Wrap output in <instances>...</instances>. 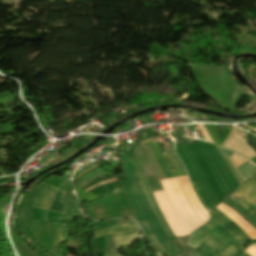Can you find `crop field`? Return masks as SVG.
<instances>
[{
    "label": "crop field",
    "instance_id": "crop-field-16",
    "mask_svg": "<svg viewBox=\"0 0 256 256\" xmlns=\"http://www.w3.org/2000/svg\"><path fill=\"white\" fill-rule=\"evenodd\" d=\"M98 166L96 165V163L90 165L89 167H87L86 169L82 170L81 172H79L76 177L74 178V181L78 180L82 175H84L85 172L90 171L92 169L97 168Z\"/></svg>",
    "mask_w": 256,
    "mask_h": 256
},
{
    "label": "crop field",
    "instance_id": "crop-field-11",
    "mask_svg": "<svg viewBox=\"0 0 256 256\" xmlns=\"http://www.w3.org/2000/svg\"><path fill=\"white\" fill-rule=\"evenodd\" d=\"M106 176H110V175L103 173L100 171V169H98V170L92 172L91 174L80 179L78 182V185L83 188V187L89 185L90 183L98 180L99 178L106 177ZM91 178H93V179H91Z\"/></svg>",
    "mask_w": 256,
    "mask_h": 256
},
{
    "label": "crop field",
    "instance_id": "crop-field-5",
    "mask_svg": "<svg viewBox=\"0 0 256 256\" xmlns=\"http://www.w3.org/2000/svg\"><path fill=\"white\" fill-rule=\"evenodd\" d=\"M159 207L160 210L165 218V220L167 221L168 225L170 226V228L172 229L173 233L175 234V236H182V235H187L185 230L179 225L165 195L164 192L161 193H156L153 194Z\"/></svg>",
    "mask_w": 256,
    "mask_h": 256
},
{
    "label": "crop field",
    "instance_id": "crop-field-10",
    "mask_svg": "<svg viewBox=\"0 0 256 256\" xmlns=\"http://www.w3.org/2000/svg\"><path fill=\"white\" fill-rule=\"evenodd\" d=\"M64 194H65L64 192L57 191V193L52 199L51 205L48 210L59 212V213H65V203L60 202Z\"/></svg>",
    "mask_w": 256,
    "mask_h": 256
},
{
    "label": "crop field",
    "instance_id": "crop-field-22",
    "mask_svg": "<svg viewBox=\"0 0 256 256\" xmlns=\"http://www.w3.org/2000/svg\"><path fill=\"white\" fill-rule=\"evenodd\" d=\"M256 124V123H255ZM256 127V126H255Z\"/></svg>",
    "mask_w": 256,
    "mask_h": 256
},
{
    "label": "crop field",
    "instance_id": "crop-field-7",
    "mask_svg": "<svg viewBox=\"0 0 256 256\" xmlns=\"http://www.w3.org/2000/svg\"><path fill=\"white\" fill-rule=\"evenodd\" d=\"M55 191L56 189L42 183L34 195L31 206L46 210L49 200Z\"/></svg>",
    "mask_w": 256,
    "mask_h": 256
},
{
    "label": "crop field",
    "instance_id": "crop-field-18",
    "mask_svg": "<svg viewBox=\"0 0 256 256\" xmlns=\"http://www.w3.org/2000/svg\"><path fill=\"white\" fill-rule=\"evenodd\" d=\"M239 204H241L242 206H244L248 211H250L255 217H256V210L254 208H252L251 206H249L246 202L242 201Z\"/></svg>",
    "mask_w": 256,
    "mask_h": 256
},
{
    "label": "crop field",
    "instance_id": "crop-field-8",
    "mask_svg": "<svg viewBox=\"0 0 256 256\" xmlns=\"http://www.w3.org/2000/svg\"><path fill=\"white\" fill-rule=\"evenodd\" d=\"M121 191H124L123 188L118 184L117 181H115V182L97 187L95 189H92L88 192H91L96 195L104 196V195H109V194H113Z\"/></svg>",
    "mask_w": 256,
    "mask_h": 256
},
{
    "label": "crop field",
    "instance_id": "crop-field-6",
    "mask_svg": "<svg viewBox=\"0 0 256 256\" xmlns=\"http://www.w3.org/2000/svg\"><path fill=\"white\" fill-rule=\"evenodd\" d=\"M236 131L237 128L232 126L228 138L222 144L223 147L239 153L249 159L256 156L253 150L246 145V140L236 135Z\"/></svg>",
    "mask_w": 256,
    "mask_h": 256
},
{
    "label": "crop field",
    "instance_id": "crop-field-9",
    "mask_svg": "<svg viewBox=\"0 0 256 256\" xmlns=\"http://www.w3.org/2000/svg\"><path fill=\"white\" fill-rule=\"evenodd\" d=\"M255 182L256 177L242 183V185L232 194H234L237 197H241L242 195H244L245 198L249 197L251 194L256 192V184L253 186ZM252 186L253 188L250 189Z\"/></svg>",
    "mask_w": 256,
    "mask_h": 256
},
{
    "label": "crop field",
    "instance_id": "crop-field-21",
    "mask_svg": "<svg viewBox=\"0 0 256 256\" xmlns=\"http://www.w3.org/2000/svg\"><path fill=\"white\" fill-rule=\"evenodd\" d=\"M252 203H254L255 205H256V198L253 200V201H251Z\"/></svg>",
    "mask_w": 256,
    "mask_h": 256
},
{
    "label": "crop field",
    "instance_id": "crop-field-17",
    "mask_svg": "<svg viewBox=\"0 0 256 256\" xmlns=\"http://www.w3.org/2000/svg\"><path fill=\"white\" fill-rule=\"evenodd\" d=\"M198 127H199L200 131L202 132L203 136L205 137L206 141L213 142L211 140V138L208 136L203 124H199Z\"/></svg>",
    "mask_w": 256,
    "mask_h": 256
},
{
    "label": "crop field",
    "instance_id": "crop-field-20",
    "mask_svg": "<svg viewBox=\"0 0 256 256\" xmlns=\"http://www.w3.org/2000/svg\"><path fill=\"white\" fill-rule=\"evenodd\" d=\"M243 126H246V127H248V128H250V129H253V128H251V127H249V126H247V125H245V124H242ZM254 130V129H253ZM256 131V130H255Z\"/></svg>",
    "mask_w": 256,
    "mask_h": 256
},
{
    "label": "crop field",
    "instance_id": "crop-field-4",
    "mask_svg": "<svg viewBox=\"0 0 256 256\" xmlns=\"http://www.w3.org/2000/svg\"><path fill=\"white\" fill-rule=\"evenodd\" d=\"M114 233H118L116 235L111 236L116 247L117 248L126 247V246H129L130 243L133 241V239L136 237L137 228L134 225V223H131V224L109 227L104 230L95 232L94 234H95V237L97 238L103 235L114 234Z\"/></svg>",
    "mask_w": 256,
    "mask_h": 256
},
{
    "label": "crop field",
    "instance_id": "crop-field-13",
    "mask_svg": "<svg viewBox=\"0 0 256 256\" xmlns=\"http://www.w3.org/2000/svg\"><path fill=\"white\" fill-rule=\"evenodd\" d=\"M192 239L187 244L192 247H197L198 244L207 237V232L201 227L189 235Z\"/></svg>",
    "mask_w": 256,
    "mask_h": 256
},
{
    "label": "crop field",
    "instance_id": "crop-field-12",
    "mask_svg": "<svg viewBox=\"0 0 256 256\" xmlns=\"http://www.w3.org/2000/svg\"><path fill=\"white\" fill-rule=\"evenodd\" d=\"M220 151V153L222 154V156L224 157L227 165L229 166L230 170L232 171V173L234 174L235 178L237 179V181L241 184L243 181H245L236 171V169L234 168V166L232 165L231 161H230V157L233 154V152H230L228 150L222 149L220 147H217ZM222 157V158H223Z\"/></svg>",
    "mask_w": 256,
    "mask_h": 256
},
{
    "label": "crop field",
    "instance_id": "crop-field-15",
    "mask_svg": "<svg viewBox=\"0 0 256 256\" xmlns=\"http://www.w3.org/2000/svg\"><path fill=\"white\" fill-rule=\"evenodd\" d=\"M231 160L235 164L236 168L245 163L246 161H248L235 153L231 157Z\"/></svg>",
    "mask_w": 256,
    "mask_h": 256
},
{
    "label": "crop field",
    "instance_id": "crop-field-1",
    "mask_svg": "<svg viewBox=\"0 0 256 256\" xmlns=\"http://www.w3.org/2000/svg\"><path fill=\"white\" fill-rule=\"evenodd\" d=\"M220 205L229 212H231L233 215H235L246 226V228L234 218L235 216L233 217L220 206L216 208L224 212L236 224H238L250 236L251 239H256V230H254L246 221H244L240 216H238L226 205L222 203ZM236 224H234L229 218H227L225 215L215 209L211 214V219L208 221L207 224L203 225V227L210 235L216 238L219 242H221L237 256H249L245 252L241 253L239 247L235 243L237 242L242 248V246H244L246 242L242 241L241 239H249L248 235ZM210 235L205 241L202 242V244L197 249L192 251L187 256H236Z\"/></svg>",
    "mask_w": 256,
    "mask_h": 256
},
{
    "label": "crop field",
    "instance_id": "crop-field-19",
    "mask_svg": "<svg viewBox=\"0 0 256 256\" xmlns=\"http://www.w3.org/2000/svg\"><path fill=\"white\" fill-rule=\"evenodd\" d=\"M256 197V193H254L253 195H251L249 198H247L246 199V201L251 205V206H253L255 209H256V207L253 205V204H251L249 201H251L252 199H254Z\"/></svg>",
    "mask_w": 256,
    "mask_h": 256
},
{
    "label": "crop field",
    "instance_id": "crop-field-3",
    "mask_svg": "<svg viewBox=\"0 0 256 256\" xmlns=\"http://www.w3.org/2000/svg\"><path fill=\"white\" fill-rule=\"evenodd\" d=\"M30 234L36 242L48 250L64 242L57 223L30 222Z\"/></svg>",
    "mask_w": 256,
    "mask_h": 256
},
{
    "label": "crop field",
    "instance_id": "crop-field-14",
    "mask_svg": "<svg viewBox=\"0 0 256 256\" xmlns=\"http://www.w3.org/2000/svg\"><path fill=\"white\" fill-rule=\"evenodd\" d=\"M248 162L237 168L245 180L256 176V165L253 166Z\"/></svg>",
    "mask_w": 256,
    "mask_h": 256
},
{
    "label": "crop field",
    "instance_id": "crop-field-2",
    "mask_svg": "<svg viewBox=\"0 0 256 256\" xmlns=\"http://www.w3.org/2000/svg\"><path fill=\"white\" fill-rule=\"evenodd\" d=\"M84 207L90 217L97 220L113 217H128L133 215L123 193L104 197Z\"/></svg>",
    "mask_w": 256,
    "mask_h": 256
}]
</instances>
